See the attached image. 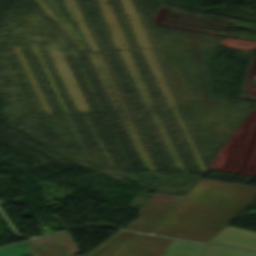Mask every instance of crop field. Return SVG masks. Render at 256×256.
Here are the masks:
<instances>
[{"mask_svg": "<svg viewBox=\"0 0 256 256\" xmlns=\"http://www.w3.org/2000/svg\"><path fill=\"white\" fill-rule=\"evenodd\" d=\"M255 197V189L200 180L152 232L206 242Z\"/></svg>", "mask_w": 256, "mask_h": 256, "instance_id": "1", "label": "crop field"}, {"mask_svg": "<svg viewBox=\"0 0 256 256\" xmlns=\"http://www.w3.org/2000/svg\"><path fill=\"white\" fill-rule=\"evenodd\" d=\"M171 240L119 230L87 256H161Z\"/></svg>", "mask_w": 256, "mask_h": 256, "instance_id": "2", "label": "crop field"}, {"mask_svg": "<svg viewBox=\"0 0 256 256\" xmlns=\"http://www.w3.org/2000/svg\"><path fill=\"white\" fill-rule=\"evenodd\" d=\"M25 252H31L32 256H73L79 250L68 233L63 232L1 248L0 256H20Z\"/></svg>", "mask_w": 256, "mask_h": 256, "instance_id": "3", "label": "crop field"}, {"mask_svg": "<svg viewBox=\"0 0 256 256\" xmlns=\"http://www.w3.org/2000/svg\"><path fill=\"white\" fill-rule=\"evenodd\" d=\"M181 198L180 196L155 193L139 210L140 218L137 221L130 222L126 228L149 232Z\"/></svg>", "mask_w": 256, "mask_h": 256, "instance_id": "4", "label": "crop field"}, {"mask_svg": "<svg viewBox=\"0 0 256 256\" xmlns=\"http://www.w3.org/2000/svg\"><path fill=\"white\" fill-rule=\"evenodd\" d=\"M208 243L256 250V233L226 226L217 235L213 236Z\"/></svg>", "mask_w": 256, "mask_h": 256, "instance_id": "5", "label": "crop field"}, {"mask_svg": "<svg viewBox=\"0 0 256 256\" xmlns=\"http://www.w3.org/2000/svg\"><path fill=\"white\" fill-rule=\"evenodd\" d=\"M205 245L172 240L162 256H200Z\"/></svg>", "mask_w": 256, "mask_h": 256, "instance_id": "6", "label": "crop field"}, {"mask_svg": "<svg viewBox=\"0 0 256 256\" xmlns=\"http://www.w3.org/2000/svg\"><path fill=\"white\" fill-rule=\"evenodd\" d=\"M202 256H256V255L242 252V251L207 245Z\"/></svg>", "mask_w": 256, "mask_h": 256, "instance_id": "7", "label": "crop field"}]
</instances>
